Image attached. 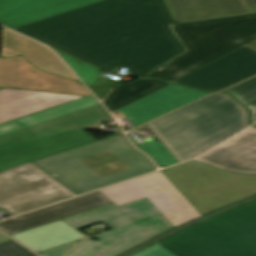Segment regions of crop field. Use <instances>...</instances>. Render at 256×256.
Listing matches in <instances>:
<instances>
[{
  "label": "crop field",
  "instance_id": "1",
  "mask_svg": "<svg viewBox=\"0 0 256 256\" xmlns=\"http://www.w3.org/2000/svg\"><path fill=\"white\" fill-rule=\"evenodd\" d=\"M171 23L164 0H104L14 30L107 72L123 66L141 77L186 51Z\"/></svg>",
  "mask_w": 256,
  "mask_h": 256
},
{
  "label": "crop field",
  "instance_id": "2",
  "mask_svg": "<svg viewBox=\"0 0 256 256\" xmlns=\"http://www.w3.org/2000/svg\"><path fill=\"white\" fill-rule=\"evenodd\" d=\"M71 192L99 189L155 169L120 133L33 161Z\"/></svg>",
  "mask_w": 256,
  "mask_h": 256
},
{
  "label": "crop field",
  "instance_id": "3",
  "mask_svg": "<svg viewBox=\"0 0 256 256\" xmlns=\"http://www.w3.org/2000/svg\"><path fill=\"white\" fill-rule=\"evenodd\" d=\"M147 125L179 162L249 126L246 109L225 93L210 95Z\"/></svg>",
  "mask_w": 256,
  "mask_h": 256
},
{
  "label": "crop field",
  "instance_id": "4",
  "mask_svg": "<svg viewBox=\"0 0 256 256\" xmlns=\"http://www.w3.org/2000/svg\"><path fill=\"white\" fill-rule=\"evenodd\" d=\"M133 256H256V200L214 215Z\"/></svg>",
  "mask_w": 256,
  "mask_h": 256
},
{
  "label": "crop field",
  "instance_id": "5",
  "mask_svg": "<svg viewBox=\"0 0 256 256\" xmlns=\"http://www.w3.org/2000/svg\"><path fill=\"white\" fill-rule=\"evenodd\" d=\"M187 49L150 77L174 81L256 39V14L172 26Z\"/></svg>",
  "mask_w": 256,
  "mask_h": 256
},
{
  "label": "crop field",
  "instance_id": "6",
  "mask_svg": "<svg viewBox=\"0 0 256 256\" xmlns=\"http://www.w3.org/2000/svg\"><path fill=\"white\" fill-rule=\"evenodd\" d=\"M77 230L104 223L113 230L90 237L65 256H87L99 251L163 233L173 226L147 198L123 205H107L61 219Z\"/></svg>",
  "mask_w": 256,
  "mask_h": 256
},
{
  "label": "crop field",
  "instance_id": "7",
  "mask_svg": "<svg viewBox=\"0 0 256 256\" xmlns=\"http://www.w3.org/2000/svg\"><path fill=\"white\" fill-rule=\"evenodd\" d=\"M162 172L202 215L256 195V175L226 172L195 161Z\"/></svg>",
  "mask_w": 256,
  "mask_h": 256
},
{
  "label": "crop field",
  "instance_id": "8",
  "mask_svg": "<svg viewBox=\"0 0 256 256\" xmlns=\"http://www.w3.org/2000/svg\"><path fill=\"white\" fill-rule=\"evenodd\" d=\"M72 196L32 162L0 172V207L13 215Z\"/></svg>",
  "mask_w": 256,
  "mask_h": 256
},
{
  "label": "crop field",
  "instance_id": "9",
  "mask_svg": "<svg viewBox=\"0 0 256 256\" xmlns=\"http://www.w3.org/2000/svg\"><path fill=\"white\" fill-rule=\"evenodd\" d=\"M99 192L118 206L147 197L174 227L202 216L161 171Z\"/></svg>",
  "mask_w": 256,
  "mask_h": 256
},
{
  "label": "crop field",
  "instance_id": "10",
  "mask_svg": "<svg viewBox=\"0 0 256 256\" xmlns=\"http://www.w3.org/2000/svg\"><path fill=\"white\" fill-rule=\"evenodd\" d=\"M110 119L112 117L94 98L85 97L16 121L34 136L40 137L71 127L100 129V122Z\"/></svg>",
  "mask_w": 256,
  "mask_h": 256
},
{
  "label": "crop field",
  "instance_id": "11",
  "mask_svg": "<svg viewBox=\"0 0 256 256\" xmlns=\"http://www.w3.org/2000/svg\"><path fill=\"white\" fill-rule=\"evenodd\" d=\"M93 141L96 139L77 128L40 138L32 136L0 147V171Z\"/></svg>",
  "mask_w": 256,
  "mask_h": 256
},
{
  "label": "crop field",
  "instance_id": "12",
  "mask_svg": "<svg viewBox=\"0 0 256 256\" xmlns=\"http://www.w3.org/2000/svg\"><path fill=\"white\" fill-rule=\"evenodd\" d=\"M256 73V52L242 47L174 83L218 91Z\"/></svg>",
  "mask_w": 256,
  "mask_h": 256
},
{
  "label": "crop field",
  "instance_id": "13",
  "mask_svg": "<svg viewBox=\"0 0 256 256\" xmlns=\"http://www.w3.org/2000/svg\"><path fill=\"white\" fill-rule=\"evenodd\" d=\"M0 86L90 95L84 86L43 73L23 57L0 59Z\"/></svg>",
  "mask_w": 256,
  "mask_h": 256
},
{
  "label": "crop field",
  "instance_id": "14",
  "mask_svg": "<svg viewBox=\"0 0 256 256\" xmlns=\"http://www.w3.org/2000/svg\"><path fill=\"white\" fill-rule=\"evenodd\" d=\"M194 160L226 171L256 174V128H247Z\"/></svg>",
  "mask_w": 256,
  "mask_h": 256
},
{
  "label": "crop field",
  "instance_id": "15",
  "mask_svg": "<svg viewBox=\"0 0 256 256\" xmlns=\"http://www.w3.org/2000/svg\"><path fill=\"white\" fill-rule=\"evenodd\" d=\"M207 94L211 93L171 84L117 110V112L124 118H128L136 127Z\"/></svg>",
  "mask_w": 256,
  "mask_h": 256
},
{
  "label": "crop field",
  "instance_id": "16",
  "mask_svg": "<svg viewBox=\"0 0 256 256\" xmlns=\"http://www.w3.org/2000/svg\"><path fill=\"white\" fill-rule=\"evenodd\" d=\"M112 203L98 191L0 222V231L11 235L63 217Z\"/></svg>",
  "mask_w": 256,
  "mask_h": 256
},
{
  "label": "crop field",
  "instance_id": "17",
  "mask_svg": "<svg viewBox=\"0 0 256 256\" xmlns=\"http://www.w3.org/2000/svg\"><path fill=\"white\" fill-rule=\"evenodd\" d=\"M101 0H0V24L13 29Z\"/></svg>",
  "mask_w": 256,
  "mask_h": 256
},
{
  "label": "crop field",
  "instance_id": "18",
  "mask_svg": "<svg viewBox=\"0 0 256 256\" xmlns=\"http://www.w3.org/2000/svg\"><path fill=\"white\" fill-rule=\"evenodd\" d=\"M176 23L256 12V0H165Z\"/></svg>",
  "mask_w": 256,
  "mask_h": 256
},
{
  "label": "crop field",
  "instance_id": "19",
  "mask_svg": "<svg viewBox=\"0 0 256 256\" xmlns=\"http://www.w3.org/2000/svg\"><path fill=\"white\" fill-rule=\"evenodd\" d=\"M79 98L82 96L4 88L0 90V123Z\"/></svg>",
  "mask_w": 256,
  "mask_h": 256
},
{
  "label": "crop field",
  "instance_id": "20",
  "mask_svg": "<svg viewBox=\"0 0 256 256\" xmlns=\"http://www.w3.org/2000/svg\"><path fill=\"white\" fill-rule=\"evenodd\" d=\"M14 55H23L42 70L76 79L53 52L3 28L2 57Z\"/></svg>",
  "mask_w": 256,
  "mask_h": 256
},
{
  "label": "crop field",
  "instance_id": "21",
  "mask_svg": "<svg viewBox=\"0 0 256 256\" xmlns=\"http://www.w3.org/2000/svg\"><path fill=\"white\" fill-rule=\"evenodd\" d=\"M11 237L34 252L39 253L87 236L59 220L11 235Z\"/></svg>",
  "mask_w": 256,
  "mask_h": 256
},
{
  "label": "crop field",
  "instance_id": "22",
  "mask_svg": "<svg viewBox=\"0 0 256 256\" xmlns=\"http://www.w3.org/2000/svg\"><path fill=\"white\" fill-rule=\"evenodd\" d=\"M167 85L169 83L160 80H137L119 86L102 103L111 112Z\"/></svg>",
  "mask_w": 256,
  "mask_h": 256
},
{
  "label": "crop field",
  "instance_id": "23",
  "mask_svg": "<svg viewBox=\"0 0 256 256\" xmlns=\"http://www.w3.org/2000/svg\"><path fill=\"white\" fill-rule=\"evenodd\" d=\"M224 92L232 94L250 111L251 124L256 121V77L235 85Z\"/></svg>",
  "mask_w": 256,
  "mask_h": 256
},
{
  "label": "crop field",
  "instance_id": "24",
  "mask_svg": "<svg viewBox=\"0 0 256 256\" xmlns=\"http://www.w3.org/2000/svg\"><path fill=\"white\" fill-rule=\"evenodd\" d=\"M140 150L146 152L158 165L165 167L178 161L168 152V150L158 141L146 142L135 145Z\"/></svg>",
  "mask_w": 256,
  "mask_h": 256
},
{
  "label": "crop field",
  "instance_id": "25",
  "mask_svg": "<svg viewBox=\"0 0 256 256\" xmlns=\"http://www.w3.org/2000/svg\"><path fill=\"white\" fill-rule=\"evenodd\" d=\"M58 54L72 67V69L78 74V76L88 85H94L100 70L81 63L59 51Z\"/></svg>",
  "mask_w": 256,
  "mask_h": 256
},
{
  "label": "crop field",
  "instance_id": "26",
  "mask_svg": "<svg viewBox=\"0 0 256 256\" xmlns=\"http://www.w3.org/2000/svg\"><path fill=\"white\" fill-rule=\"evenodd\" d=\"M32 136L15 120L0 125V146Z\"/></svg>",
  "mask_w": 256,
  "mask_h": 256
},
{
  "label": "crop field",
  "instance_id": "27",
  "mask_svg": "<svg viewBox=\"0 0 256 256\" xmlns=\"http://www.w3.org/2000/svg\"><path fill=\"white\" fill-rule=\"evenodd\" d=\"M26 250L28 249L22 247L12 240L0 244V256H17Z\"/></svg>",
  "mask_w": 256,
  "mask_h": 256
},
{
  "label": "crop field",
  "instance_id": "28",
  "mask_svg": "<svg viewBox=\"0 0 256 256\" xmlns=\"http://www.w3.org/2000/svg\"><path fill=\"white\" fill-rule=\"evenodd\" d=\"M154 237V236H152ZM152 237H149V238H146V239H143V240H139V241H136V242H133V243H130V244H126V245H123V246H120V247H116V248H113V249H109V250H106V251H103V252H100L102 253L100 256H117L118 254L132 248L133 246L141 243V242H144ZM90 256H98L96 254H93V255H90Z\"/></svg>",
  "mask_w": 256,
  "mask_h": 256
},
{
  "label": "crop field",
  "instance_id": "29",
  "mask_svg": "<svg viewBox=\"0 0 256 256\" xmlns=\"http://www.w3.org/2000/svg\"><path fill=\"white\" fill-rule=\"evenodd\" d=\"M79 242V241H77ZM77 242L70 243L52 250H48L42 253H39L42 256H61L64 254L66 251H68L72 246H74Z\"/></svg>",
  "mask_w": 256,
  "mask_h": 256
},
{
  "label": "crop field",
  "instance_id": "30",
  "mask_svg": "<svg viewBox=\"0 0 256 256\" xmlns=\"http://www.w3.org/2000/svg\"><path fill=\"white\" fill-rule=\"evenodd\" d=\"M112 87L113 85L107 87H90V89L98 99H102Z\"/></svg>",
  "mask_w": 256,
  "mask_h": 256
},
{
  "label": "crop field",
  "instance_id": "31",
  "mask_svg": "<svg viewBox=\"0 0 256 256\" xmlns=\"http://www.w3.org/2000/svg\"><path fill=\"white\" fill-rule=\"evenodd\" d=\"M245 46H247V47H249V48H251V49L256 51V40L251 42V43H249V44H247V45H245Z\"/></svg>",
  "mask_w": 256,
  "mask_h": 256
},
{
  "label": "crop field",
  "instance_id": "32",
  "mask_svg": "<svg viewBox=\"0 0 256 256\" xmlns=\"http://www.w3.org/2000/svg\"><path fill=\"white\" fill-rule=\"evenodd\" d=\"M19 256H36V255L33 254L31 251L28 250V251H26V252L20 254Z\"/></svg>",
  "mask_w": 256,
  "mask_h": 256
},
{
  "label": "crop field",
  "instance_id": "33",
  "mask_svg": "<svg viewBox=\"0 0 256 256\" xmlns=\"http://www.w3.org/2000/svg\"><path fill=\"white\" fill-rule=\"evenodd\" d=\"M10 240L8 237L0 234V243Z\"/></svg>",
  "mask_w": 256,
  "mask_h": 256
},
{
  "label": "crop field",
  "instance_id": "34",
  "mask_svg": "<svg viewBox=\"0 0 256 256\" xmlns=\"http://www.w3.org/2000/svg\"><path fill=\"white\" fill-rule=\"evenodd\" d=\"M112 81H116V80L108 79L106 82H104V83H103V84H101V85H106V84H108L109 82H112Z\"/></svg>",
  "mask_w": 256,
  "mask_h": 256
},
{
  "label": "crop field",
  "instance_id": "35",
  "mask_svg": "<svg viewBox=\"0 0 256 256\" xmlns=\"http://www.w3.org/2000/svg\"><path fill=\"white\" fill-rule=\"evenodd\" d=\"M100 79H101V77H99V79H98L96 85H98L99 83H101L102 81H104V80L107 79V78H105V79H103V80H100Z\"/></svg>",
  "mask_w": 256,
  "mask_h": 256
},
{
  "label": "crop field",
  "instance_id": "36",
  "mask_svg": "<svg viewBox=\"0 0 256 256\" xmlns=\"http://www.w3.org/2000/svg\"><path fill=\"white\" fill-rule=\"evenodd\" d=\"M254 126H256V124Z\"/></svg>",
  "mask_w": 256,
  "mask_h": 256
},
{
  "label": "crop field",
  "instance_id": "37",
  "mask_svg": "<svg viewBox=\"0 0 256 256\" xmlns=\"http://www.w3.org/2000/svg\"><path fill=\"white\" fill-rule=\"evenodd\" d=\"M76 195H78V194H76Z\"/></svg>",
  "mask_w": 256,
  "mask_h": 256
},
{
  "label": "crop field",
  "instance_id": "38",
  "mask_svg": "<svg viewBox=\"0 0 256 256\" xmlns=\"http://www.w3.org/2000/svg\"><path fill=\"white\" fill-rule=\"evenodd\" d=\"M1 89V88H0Z\"/></svg>",
  "mask_w": 256,
  "mask_h": 256
}]
</instances>
